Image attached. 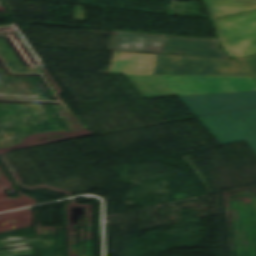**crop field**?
Here are the masks:
<instances>
[{"mask_svg":"<svg viewBox=\"0 0 256 256\" xmlns=\"http://www.w3.org/2000/svg\"><path fill=\"white\" fill-rule=\"evenodd\" d=\"M205 1L210 9L213 19L256 8V0H205Z\"/></svg>","mask_w":256,"mask_h":256,"instance_id":"crop-field-8","label":"crop field"},{"mask_svg":"<svg viewBox=\"0 0 256 256\" xmlns=\"http://www.w3.org/2000/svg\"><path fill=\"white\" fill-rule=\"evenodd\" d=\"M235 60L239 62L253 76H256V54L236 58Z\"/></svg>","mask_w":256,"mask_h":256,"instance_id":"crop-field-9","label":"crop field"},{"mask_svg":"<svg viewBox=\"0 0 256 256\" xmlns=\"http://www.w3.org/2000/svg\"><path fill=\"white\" fill-rule=\"evenodd\" d=\"M166 54L231 59L217 41L166 36Z\"/></svg>","mask_w":256,"mask_h":256,"instance_id":"crop-field-7","label":"crop field"},{"mask_svg":"<svg viewBox=\"0 0 256 256\" xmlns=\"http://www.w3.org/2000/svg\"><path fill=\"white\" fill-rule=\"evenodd\" d=\"M196 116H204L256 106V92L180 97Z\"/></svg>","mask_w":256,"mask_h":256,"instance_id":"crop-field-5","label":"crop field"},{"mask_svg":"<svg viewBox=\"0 0 256 256\" xmlns=\"http://www.w3.org/2000/svg\"><path fill=\"white\" fill-rule=\"evenodd\" d=\"M108 73L250 77L232 60L113 52Z\"/></svg>","mask_w":256,"mask_h":256,"instance_id":"crop-field-1","label":"crop field"},{"mask_svg":"<svg viewBox=\"0 0 256 256\" xmlns=\"http://www.w3.org/2000/svg\"><path fill=\"white\" fill-rule=\"evenodd\" d=\"M214 21L223 49L233 58L256 53V9Z\"/></svg>","mask_w":256,"mask_h":256,"instance_id":"crop-field-4","label":"crop field"},{"mask_svg":"<svg viewBox=\"0 0 256 256\" xmlns=\"http://www.w3.org/2000/svg\"><path fill=\"white\" fill-rule=\"evenodd\" d=\"M144 98L255 91L252 78L126 75Z\"/></svg>","mask_w":256,"mask_h":256,"instance_id":"crop-field-2","label":"crop field"},{"mask_svg":"<svg viewBox=\"0 0 256 256\" xmlns=\"http://www.w3.org/2000/svg\"><path fill=\"white\" fill-rule=\"evenodd\" d=\"M256 79V77H254Z\"/></svg>","mask_w":256,"mask_h":256,"instance_id":"crop-field-10","label":"crop field"},{"mask_svg":"<svg viewBox=\"0 0 256 256\" xmlns=\"http://www.w3.org/2000/svg\"><path fill=\"white\" fill-rule=\"evenodd\" d=\"M198 119L221 145L245 140L256 154V107Z\"/></svg>","mask_w":256,"mask_h":256,"instance_id":"crop-field-3","label":"crop field"},{"mask_svg":"<svg viewBox=\"0 0 256 256\" xmlns=\"http://www.w3.org/2000/svg\"><path fill=\"white\" fill-rule=\"evenodd\" d=\"M109 50L165 54V36L113 32Z\"/></svg>","mask_w":256,"mask_h":256,"instance_id":"crop-field-6","label":"crop field"}]
</instances>
